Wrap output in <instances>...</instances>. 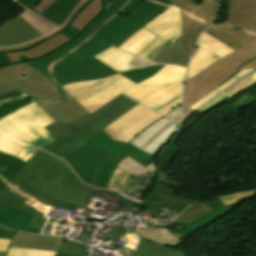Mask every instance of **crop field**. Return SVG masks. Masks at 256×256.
Here are the masks:
<instances>
[{"instance_id":"crop-field-39","label":"crop field","mask_w":256,"mask_h":256,"mask_svg":"<svg viewBox=\"0 0 256 256\" xmlns=\"http://www.w3.org/2000/svg\"><path fill=\"white\" fill-rule=\"evenodd\" d=\"M197 45L201 48H203L204 50L208 51L209 53H211L212 55H214L215 57L213 59H211L210 61H208L205 65H203L201 68H199L196 72H194L192 75H190L189 77H187V80H189L190 78H192L193 76H195L197 73H199L201 70H203L205 67H207L209 64H211L214 60H216L217 58H222L225 55H227L226 53H224L223 51H221L220 49L216 48L215 46H213L212 44L208 43L207 41H205L202 38H199Z\"/></svg>"},{"instance_id":"crop-field-21","label":"crop field","mask_w":256,"mask_h":256,"mask_svg":"<svg viewBox=\"0 0 256 256\" xmlns=\"http://www.w3.org/2000/svg\"><path fill=\"white\" fill-rule=\"evenodd\" d=\"M31 217V214H27L0 204V225L18 231L43 234L44 229H32L27 227Z\"/></svg>"},{"instance_id":"crop-field-26","label":"crop field","mask_w":256,"mask_h":256,"mask_svg":"<svg viewBox=\"0 0 256 256\" xmlns=\"http://www.w3.org/2000/svg\"><path fill=\"white\" fill-rule=\"evenodd\" d=\"M204 204H206L213 210L207 213L206 215L186 224L195 232L231 211L217 197L207 202H204Z\"/></svg>"},{"instance_id":"crop-field-7","label":"crop field","mask_w":256,"mask_h":256,"mask_svg":"<svg viewBox=\"0 0 256 256\" xmlns=\"http://www.w3.org/2000/svg\"><path fill=\"white\" fill-rule=\"evenodd\" d=\"M86 142L88 143L69 154L64 160L80 179L89 185L92 183L98 164L109 152L122 160L129 156L136 161L145 153L129 143L112 141L103 130Z\"/></svg>"},{"instance_id":"crop-field-63","label":"crop field","mask_w":256,"mask_h":256,"mask_svg":"<svg viewBox=\"0 0 256 256\" xmlns=\"http://www.w3.org/2000/svg\"><path fill=\"white\" fill-rule=\"evenodd\" d=\"M13 236H14V233L6 232V231H0V238L12 239Z\"/></svg>"},{"instance_id":"crop-field-45","label":"crop field","mask_w":256,"mask_h":256,"mask_svg":"<svg viewBox=\"0 0 256 256\" xmlns=\"http://www.w3.org/2000/svg\"><path fill=\"white\" fill-rule=\"evenodd\" d=\"M256 195V190L245 191V192H235L228 193L222 196H218V198L225 204L229 205L231 203L237 202L242 199H246L249 197H253Z\"/></svg>"},{"instance_id":"crop-field-48","label":"crop field","mask_w":256,"mask_h":256,"mask_svg":"<svg viewBox=\"0 0 256 256\" xmlns=\"http://www.w3.org/2000/svg\"><path fill=\"white\" fill-rule=\"evenodd\" d=\"M152 192H155V193H158L161 195H165V196L171 197L173 199L182 200V201L188 202L190 204L194 203L193 201H189V200H186L183 198L176 197V192L174 190H172L170 188H166V187L158 185V184L154 185Z\"/></svg>"},{"instance_id":"crop-field-61","label":"crop field","mask_w":256,"mask_h":256,"mask_svg":"<svg viewBox=\"0 0 256 256\" xmlns=\"http://www.w3.org/2000/svg\"><path fill=\"white\" fill-rule=\"evenodd\" d=\"M10 240L0 239V251H6Z\"/></svg>"},{"instance_id":"crop-field-42","label":"crop field","mask_w":256,"mask_h":256,"mask_svg":"<svg viewBox=\"0 0 256 256\" xmlns=\"http://www.w3.org/2000/svg\"><path fill=\"white\" fill-rule=\"evenodd\" d=\"M56 252L10 247L7 256H55Z\"/></svg>"},{"instance_id":"crop-field-36","label":"crop field","mask_w":256,"mask_h":256,"mask_svg":"<svg viewBox=\"0 0 256 256\" xmlns=\"http://www.w3.org/2000/svg\"><path fill=\"white\" fill-rule=\"evenodd\" d=\"M118 167L133 173L135 179L141 181L142 184H146V185L148 183L144 182L139 176L143 173L146 174L150 171H153V170L157 169L154 161L145 168L142 165H140L138 162L132 160L129 157L126 158L125 160H123L122 162H120Z\"/></svg>"},{"instance_id":"crop-field-34","label":"crop field","mask_w":256,"mask_h":256,"mask_svg":"<svg viewBox=\"0 0 256 256\" xmlns=\"http://www.w3.org/2000/svg\"><path fill=\"white\" fill-rule=\"evenodd\" d=\"M92 0H81L80 3L77 5V7L75 8L74 12L72 13V15L69 17V19L67 20V22L61 27L59 28L55 33L43 37V38H39L36 39L28 44L25 45H21V46H15V47H9V48H0V52H12V51H18V50H23V49H27V48H31L39 43H41L42 41H44L46 38L53 36L63 30H65L66 28L69 27L70 23L72 22V20L74 19V17L87 5L91 2Z\"/></svg>"},{"instance_id":"crop-field-3","label":"crop field","mask_w":256,"mask_h":256,"mask_svg":"<svg viewBox=\"0 0 256 256\" xmlns=\"http://www.w3.org/2000/svg\"><path fill=\"white\" fill-rule=\"evenodd\" d=\"M109 47L111 45L102 40L77 53L63 47L42 59L27 63L49 77L57 78L60 86L81 80L99 79L118 73L93 57ZM163 66L128 70L119 74L137 84L153 76Z\"/></svg>"},{"instance_id":"crop-field-5","label":"crop field","mask_w":256,"mask_h":256,"mask_svg":"<svg viewBox=\"0 0 256 256\" xmlns=\"http://www.w3.org/2000/svg\"><path fill=\"white\" fill-rule=\"evenodd\" d=\"M245 68H256V37L245 47L213 62L198 75L187 81L184 119L194 110L189 107L206 96L221 83Z\"/></svg>"},{"instance_id":"crop-field-58","label":"crop field","mask_w":256,"mask_h":256,"mask_svg":"<svg viewBox=\"0 0 256 256\" xmlns=\"http://www.w3.org/2000/svg\"><path fill=\"white\" fill-rule=\"evenodd\" d=\"M152 161H153L152 157L143 154V156L140 158V160L138 162L146 167Z\"/></svg>"},{"instance_id":"crop-field-64","label":"crop field","mask_w":256,"mask_h":256,"mask_svg":"<svg viewBox=\"0 0 256 256\" xmlns=\"http://www.w3.org/2000/svg\"><path fill=\"white\" fill-rule=\"evenodd\" d=\"M119 229L114 235V239H120L122 236H124L127 232L124 231L123 229H120L119 227L117 228Z\"/></svg>"},{"instance_id":"crop-field-18","label":"crop field","mask_w":256,"mask_h":256,"mask_svg":"<svg viewBox=\"0 0 256 256\" xmlns=\"http://www.w3.org/2000/svg\"><path fill=\"white\" fill-rule=\"evenodd\" d=\"M125 77L117 74L108 78L90 81H81L62 88L71 95L77 102H82L112 86Z\"/></svg>"},{"instance_id":"crop-field-17","label":"crop field","mask_w":256,"mask_h":256,"mask_svg":"<svg viewBox=\"0 0 256 256\" xmlns=\"http://www.w3.org/2000/svg\"><path fill=\"white\" fill-rule=\"evenodd\" d=\"M39 37L42 35L19 15L0 25V46L23 44Z\"/></svg>"},{"instance_id":"crop-field-59","label":"crop field","mask_w":256,"mask_h":256,"mask_svg":"<svg viewBox=\"0 0 256 256\" xmlns=\"http://www.w3.org/2000/svg\"><path fill=\"white\" fill-rule=\"evenodd\" d=\"M225 97H226V96H225ZM228 100H230V99L226 97V98H224V99L218 101L217 103L213 104L212 106L206 108L205 110L201 111L200 113L203 114V113L209 111L210 109H212V108H214V107H216V106H218V105H220V104H222V103H224V102H226V101H228Z\"/></svg>"},{"instance_id":"crop-field-4","label":"crop field","mask_w":256,"mask_h":256,"mask_svg":"<svg viewBox=\"0 0 256 256\" xmlns=\"http://www.w3.org/2000/svg\"><path fill=\"white\" fill-rule=\"evenodd\" d=\"M185 71L182 67L166 65L152 78L138 85L125 78L81 105L91 114L123 93L157 111L183 95Z\"/></svg>"},{"instance_id":"crop-field-16","label":"crop field","mask_w":256,"mask_h":256,"mask_svg":"<svg viewBox=\"0 0 256 256\" xmlns=\"http://www.w3.org/2000/svg\"><path fill=\"white\" fill-rule=\"evenodd\" d=\"M178 125L163 117L142 131L130 143L154 156L163 143L171 138Z\"/></svg>"},{"instance_id":"crop-field-19","label":"crop field","mask_w":256,"mask_h":256,"mask_svg":"<svg viewBox=\"0 0 256 256\" xmlns=\"http://www.w3.org/2000/svg\"><path fill=\"white\" fill-rule=\"evenodd\" d=\"M63 240L64 238L56 236L30 235L16 232L9 246L57 251ZM6 253L0 252V256H6Z\"/></svg>"},{"instance_id":"crop-field-41","label":"crop field","mask_w":256,"mask_h":256,"mask_svg":"<svg viewBox=\"0 0 256 256\" xmlns=\"http://www.w3.org/2000/svg\"><path fill=\"white\" fill-rule=\"evenodd\" d=\"M212 57L211 54L208 52L204 51L201 48H197L194 51L193 58L189 64L188 67V75L192 74L194 71H196L199 67H201L203 64H205L208 60H210Z\"/></svg>"},{"instance_id":"crop-field-66","label":"crop field","mask_w":256,"mask_h":256,"mask_svg":"<svg viewBox=\"0 0 256 256\" xmlns=\"http://www.w3.org/2000/svg\"><path fill=\"white\" fill-rule=\"evenodd\" d=\"M112 0H104V8H105V6L108 4V3H110Z\"/></svg>"},{"instance_id":"crop-field-68","label":"crop field","mask_w":256,"mask_h":256,"mask_svg":"<svg viewBox=\"0 0 256 256\" xmlns=\"http://www.w3.org/2000/svg\"><path fill=\"white\" fill-rule=\"evenodd\" d=\"M196 1V3L198 4L201 0H195ZM216 1V0H215Z\"/></svg>"},{"instance_id":"crop-field-31","label":"crop field","mask_w":256,"mask_h":256,"mask_svg":"<svg viewBox=\"0 0 256 256\" xmlns=\"http://www.w3.org/2000/svg\"><path fill=\"white\" fill-rule=\"evenodd\" d=\"M138 235L158 244L169 245L175 248L180 244V241L169 233L166 228L139 229Z\"/></svg>"},{"instance_id":"crop-field-43","label":"crop field","mask_w":256,"mask_h":256,"mask_svg":"<svg viewBox=\"0 0 256 256\" xmlns=\"http://www.w3.org/2000/svg\"><path fill=\"white\" fill-rule=\"evenodd\" d=\"M0 203L4 204L6 206L24 211V212H28L31 214H37L36 212L32 211L30 208H28L26 205H24L19 200L1 192V191H0ZM37 215H39V214H37Z\"/></svg>"},{"instance_id":"crop-field-37","label":"crop field","mask_w":256,"mask_h":256,"mask_svg":"<svg viewBox=\"0 0 256 256\" xmlns=\"http://www.w3.org/2000/svg\"><path fill=\"white\" fill-rule=\"evenodd\" d=\"M210 210H212V209H210L203 203H196V204H193L192 206H190L189 208H187L178 217V220L186 224V223L198 218L199 216L209 212Z\"/></svg>"},{"instance_id":"crop-field-55","label":"crop field","mask_w":256,"mask_h":256,"mask_svg":"<svg viewBox=\"0 0 256 256\" xmlns=\"http://www.w3.org/2000/svg\"><path fill=\"white\" fill-rule=\"evenodd\" d=\"M181 111H182V105L177 107L174 111L167 114L166 116H168V117H170V118H172V119H174V120H176L177 122L180 123V121H181Z\"/></svg>"},{"instance_id":"crop-field-32","label":"crop field","mask_w":256,"mask_h":256,"mask_svg":"<svg viewBox=\"0 0 256 256\" xmlns=\"http://www.w3.org/2000/svg\"><path fill=\"white\" fill-rule=\"evenodd\" d=\"M13 1L15 2L16 0ZM20 6L25 9L24 12L19 14L21 18L27 21L36 31H38L43 36L58 29L59 26L55 25L51 21L35 14L34 12L30 11L29 9L22 5Z\"/></svg>"},{"instance_id":"crop-field-6","label":"crop field","mask_w":256,"mask_h":256,"mask_svg":"<svg viewBox=\"0 0 256 256\" xmlns=\"http://www.w3.org/2000/svg\"><path fill=\"white\" fill-rule=\"evenodd\" d=\"M24 168L29 174L24 178L37 190L81 207L88 191L72 188L60 182L72 171L63 160L40 150L26 162Z\"/></svg>"},{"instance_id":"crop-field-30","label":"crop field","mask_w":256,"mask_h":256,"mask_svg":"<svg viewBox=\"0 0 256 256\" xmlns=\"http://www.w3.org/2000/svg\"><path fill=\"white\" fill-rule=\"evenodd\" d=\"M156 37L150 31L141 28L135 34L131 35L119 48L138 54Z\"/></svg>"},{"instance_id":"crop-field-50","label":"crop field","mask_w":256,"mask_h":256,"mask_svg":"<svg viewBox=\"0 0 256 256\" xmlns=\"http://www.w3.org/2000/svg\"><path fill=\"white\" fill-rule=\"evenodd\" d=\"M202 38H204L205 40H207L208 42L212 43L213 45L217 46L218 48H220L221 50L225 51L226 53H231L234 50L228 48L227 46H225L224 44L220 43L219 41H217L216 39H214L213 37L209 36L206 33H202L201 36Z\"/></svg>"},{"instance_id":"crop-field-57","label":"crop field","mask_w":256,"mask_h":256,"mask_svg":"<svg viewBox=\"0 0 256 256\" xmlns=\"http://www.w3.org/2000/svg\"><path fill=\"white\" fill-rule=\"evenodd\" d=\"M53 1L54 0H41L34 9L42 13Z\"/></svg>"},{"instance_id":"crop-field-49","label":"crop field","mask_w":256,"mask_h":256,"mask_svg":"<svg viewBox=\"0 0 256 256\" xmlns=\"http://www.w3.org/2000/svg\"><path fill=\"white\" fill-rule=\"evenodd\" d=\"M99 190H100V189L95 188L93 193L100 194V195H104V196H106L105 199L116 202L113 208L106 207V206H103L102 208H104V209H106V210H109V211H111L112 209L122 208L123 205L117 203L118 198H119L118 196L100 193ZM90 201H91V200H90ZM89 203H90V202H89ZM88 205H89V204L84 203L83 208H87ZM87 209H90V208H87Z\"/></svg>"},{"instance_id":"crop-field-28","label":"crop field","mask_w":256,"mask_h":256,"mask_svg":"<svg viewBox=\"0 0 256 256\" xmlns=\"http://www.w3.org/2000/svg\"><path fill=\"white\" fill-rule=\"evenodd\" d=\"M25 165V162L17 157L0 152V189L4 187L10 179Z\"/></svg>"},{"instance_id":"crop-field-46","label":"crop field","mask_w":256,"mask_h":256,"mask_svg":"<svg viewBox=\"0 0 256 256\" xmlns=\"http://www.w3.org/2000/svg\"><path fill=\"white\" fill-rule=\"evenodd\" d=\"M62 182L67 183V184H69V185H71V186H73V187H76V188L89 190V192H88V194H87V197H86V199H85V201H84V202H87V203L89 202V199H90V197H91V194H92V191H93L94 188L89 187V186L83 184V183L77 178V176H76L73 172L70 173L66 178H64V179L62 180Z\"/></svg>"},{"instance_id":"crop-field-44","label":"crop field","mask_w":256,"mask_h":256,"mask_svg":"<svg viewBox=\"0 0 256 256\" xmlns=\"http://www.w3.org/2000/svg\"><path fill=\"white\" fill-rule=\"evenodd\" d=\"M254 70V69H249V70H241L238 73H236L234 76H232L230 79H228L226 82H224L222 85H220L218 88H216L214 91H212L210 94H208L206 97H204L203 99H201L199 102H197L196 104H194L192 107V109H196L198 106H200L203 102H205L206 100H208L209 98H211L212 96H214L216 93H218L219 91H221L222 89L226 88L227 86H229L230 84H232L234 81H236L238 78H240L242 75L246 74L247 72Z\"/></svg>"},{"instance_id":"crop-field-9","label":"crop field","mask_w":256,"mask_h":256,"mask_svg":"<svg viewBox=\"0 0 256 256\" xmlns=\"http://www.w3.org/2000/svg\"><path fill=\"white\" fill-rule=\"evenodd\" d=\"M54 120L36 103H30L0 120V127L20 139L43 147L54 141L43 127Z\"/></svg>"},{"instance_id":"crop-field-56","label":"crop field","mask_w":256,"mask_h":256,"mask_svg":"<svg viewBox=\"0 0 256 256\" xmlns=\"http://www.w3.org/2000/svg\"><path fill=\"white\" fill-rule=\"evenodd\" d=\"M156 183L161 184V185H164V186H166V187H170V188H172V189H177V190H179V189L181 188V186H182V184L177 183V182H173V181H167V182H165V181L157 180Z\"/></svg>"},{"instance_id":"crop-field-27","label":"crop field","mask_w":256,"mask_h":256,"mask_svg":"<svg viewBox=\"0 0 256 256\" xmlns=\"http://www.w3.org/2000/svg\"><path fill=\"white\" fill-rule=\"evenodd\" d=\"M132 256H187V254L172 247L157 245L148 240L141 239Z\"/></svg>"},{"instance_id":"crop-field-40","label":"crop field","mask_w":256,"mask_h":256,"mask_svg":"<svg viewBox=\"0 0 256 256\" xmlns=\"http://www.w3.org/2000/svg\"><path fill=\"white\" fill-rule=\"evenodd\" d=\"M130 174L131 173L117 167L107 189L121 192Z\"/></svg>"},{"instance_id":"crop-field-10","label":"crop field","mask_w":256,"mask_h":256,"mask_svg":"<svg viewBox=\"0 0 256 256\" xmlns=\"http://www.w3.org/2000/svg\"><path fill=\"white\" fill-rule=\"evenodd\" d=\"M103 12V0H93L73 20L64 32L46 39L38 46L19 52L6 53L11 63L42 58L75 40Z\"/></svg>"},{"instance_id":"crop-field-24","label":"crop field","mask_w":256,"mask_h":256,"mask_svg":"<svg viewBox=\"0 0 256 256\" xmlns=\"http://www.w3.org/2000/svg\"><path fill=\"white\" fill-rule=\"evenodd\" d=\"M188 55L185 53L181 37L172 45L168 44L154 59V62L185 66L188 63Z\"/></svg>"},{"instance_id":"crop-field-1","label":"crop field","mask_w":256,"mask_h":256,"mask_svg":"<svg viewBox=\"0 0 256 256\" xmlns=\"http://www.w3.org/2000/svg\"><path fill=\"white\" fill-rule=\"evenodd\" d=\"M172 0H114L67 49L78 51L102 39L119 47L131 34L167 10Z\"/></svg>"},{"instance_id":"crop-field-14","label":"crop field","mask_w":256,"mask_h":256,"mask_svg":"<svg viewBox=\"0 0 256 256\" xmlns=\"http://www.w3.org/2000/svg\"><path fill=\"white\" fill-rule=\"evenodd\" d=\"M180 14L174 5L156 17L144 28L158 37L151 42L139 55L153 61L156 55L169 43H175L181 36ZM138 55V56H139Z\"/></svg>"},{"instance_id":"crop-field-38","label":"crop field","mask_w":256,"mask_h":256,"mask_svg":"<svg viewBox=\"0 0 256 256\" xmlns=\"http://www.w3.org/2000/svg\"><path fill=\"white\" fill-rule=\"evenodd\" d=\"M255 84H256V71L246 76L245 78L240 80L238 83H236L235 85H233L223 93L231 98Z\"/></svg>"},{"instance_id":"crop-field-29","label":"crop field","mask_w":256,"mask_h":256,"mask_svg":"<svg viewBox=\"0 0 256 256\" xmlns=\"http://www.w3.org/2000/svg\"><path fill=\"white\" fill-rule=\"evenodd\" d=\"M121 160L112 154H108L101 161L98 170L96 172L95 178L93 180V186L107 188L109 179Z\"/></svg>"},{"instance_id":"crop-field-2","label":"crop field","mask_w":256,"mask_h":256,"mask_svg":"<svg viewBox=\"0 0 256 256\" xmlns=\"http://www.w3.org/2000/svg\"><path fill=\"white\" fill-rule=\"evenodd\" d=\"M16 90L36 101L55 121L71 124L89 114L58 84L26 62L0 68V95Z\"/></svg>"},{"instance_id":"crop-field-12","label":"crop field","mask_w":256,"mask_h":256,"mask_svg":"<svg viewBox=\"0 0 256 256\" xmlns=\"http://www.w3.org/2000/svg\"><path fill=\"white\" fill-rule=\"evenodd\" d=\"M182 16V35L186 51L191 55L199 33L212 24L216 18L215 2L202 0L198 5L194 0H173Z\"/></svg>"},{"instance_id":"crop-field-22","label":"crop field","mask_w":256,"mask_h":256,"mask_svg":"<svg viewBox=\"0 0 256 256\" xmlns=\"http://www.w3.org/2000/svg\"><path fill=\"white\" fill-rule=\"evenodd\" d=\"M48 132L55 138V142L43 147L42 149L52 153L62 146L80 138L71 125H64L54 122L46 127Z\"/></svg>"},{"instance_id":"crop-field-67","label":"crop field","mask_w":256,"mask_h":256,"mask_svg":"<svg viewBox=\"0 0 256 256\" xmlns=\"http://www.w3.org/2000/svg\"><path fill=\"white\" fill-rule=\"evenodd\" d=\"M0 230H5V229H3V228L0 227ZM7 231H10V230H7ZM11 232H14V233H15V231H11Z\"/></svg>"},{"instance_id":"crop-field-51","label":"crop field","mask_w":256,"mask_h":256,"mask_svg":"<svg viewBox=\"0 0 256 256\" xmlns=\"http://www.w3.org/2000/svg\"><path fill=\"white\" fill-rule=\"evenodd\" d=\"M48 220H49V218L34 215L28 227L45 228Z\"/></svg>"},{"instance_id":"crop-field-62","label":"crop field","mask_w":256,"mask_h":256,"mask_svg":"<svg viewBox=\"0 0 256 256\" xmlns=\"http://www.w3.org/2000/svg\"><path fill=\"white\" fill-rule=\"evenodd\" d=\"M225 96L224 95H219L217 98H215L214 100H212V101H210L209 103H207L206 105H204L203 107H201L199 110H197V111H201V110H203V109H205L206 107H208V106H210V105H212L213 103H215V102H217L218 100H220V99H222V98H224Z\"/></svg>"},{"instance_id":"crop-field-15","label":"crop field","mask_w":256,"mask_h":256,"mask_svg":"<svg viewBox=\"0 0 256 256\" xmlns=\"http://www.w3.org/2000/svg\"><path fill=\"white\" fill-rule=\"evenodd\" d=\"M161 117L163 116L157 112L139 104L103 130L112 140L130 142L142 130Z\"/></svg>"},{"instance_id":"crop-field-53","label":"crop field","mask_w":256,"mask_h":256,"mask_svg":"<svg viewBox=\"0 0 256 256\" xmlns=\"http://www.w3.org/2000/svg\"><path fill=\"white\" fill-rule=\"evenodd\" d=\"M129 64H131L132 66H134L136 68L158 65V64H153V63H151L145 59H142L140 57H137V56L131 62H129Z\"/></svg>"},{"instance_id":"crop-field-23","label":"crop field","mask_w":256,"mask_h":256,"mask_svg":"<svg viewBox=\"0 0 256 256\" xmlns=\"http://www.w3.org/2000/svg\"><path fill=\"white\" fill-rule=\"evenodd\" d=\"M142 205L150 207L147 211L148 213L157 215L162 208L172 210L180 214L190 204L150 192L142 202Z\"/></svg>"},{"instance_id":"crop-field-8","label":"crop field","mask_w":256,"mask_h":256,"mask_svg":"<svg viewBox=\"0 0 256 256\" xmlns=\"http://www.w3.org/2000/svg\"><path fill=\"white\" fill-rule=\"evenodd\" d=\"M204 32L234 50L245 46L256 33V0H229L228 19Z\"/></svg>"},{"instance_id":"crop-field-54","label":"crop field","mask_w":256,"mask_h":256,"mask_svg":"<svg viewBox=\"0 0 256 256\" xmlns=\"http://www.w3.org/2000/svg\"><path fill=\"white\" fill-rule=\"evenodd\" d=\"M180 104H182V96L180 98H178L177 100H175L174 102L170 103L169 105L165 106L158 112L165 115V114L171 112L172 110H174Z\"/></svg>"},{"instance_id":"crop-field-33","label":"crop field","mask_w":256,"mask_h":256,"mask_svg":"<svg viewBox=\"0 0 256 256\" xmlns=\"http://www.w3.org/2000/svg\"><path fill=\"white\" fill-rule=\"evenodd\" d=\"M30 102L32 101L16 91L0 96V118Z\"/></svg>"},{"instance_id":"crop-field-13","label":"crop field","mask_w":256,"mask_h":256,"mask_svg":"<svg viewBox=\"0 0 256 256\" xmlns=\"http://www.w3.org/2000/svg\"><path fill=\"white\" fill-rule=\"evenodd\" d=\"M28 175L24 168L18 172L12 180L1 189L26 204L42 216L48 217L56 207L65 209L79 208L50 198L33 188L23 177Z\"/></svg>"},{"instance_id":"crop-field-35","label":"crop field","mask_w":256,"mask_h":256,"mask_svg":"<svg viewBox=\"0 0 256 256\" xmlns=\"http://www.w3.org/2000/svg\"><path fill=\"white\" fill-rule=\"evenodd\" d=\"M27 143L0 129V151L16 156Z\"/></svg>"},{"instance_id":"crop-field-47","label":"crop field","mask_w":256,"mask_h":256,"mask_svg":"<svg viewBox=\"0 0 256 256\" xmlns=\"http://www.w3.org/2000/svg\"><path fill=\"white\" fill-rule=\"evenodd\" d=\"M89 252L82 251L74 246L62 243L56 256H88Z\"/></svg>"},{"instance_id":"crop-field-11","label":"crop field","mask_w":256,"mask_h":256,"mask_svg":"<svg viewBox=\"0 0 256 256\" xmlns=\"http://www.w3.org/2000/svg\"><path fill=\"white\" fill-rule=\"evenodd\" d=\"M137 104L122 95L118 96L93 114H89L71 124L81 138L57 150L53 154L63 159L73 150L83 146L85 144L83 142L84 140L92 137Z\"/></svg>"},{"instance_id":"crop-field-25","label":"crop field","mask_w":256,"mask_h":256,"mask_svg":"<svg viewBox=\"0 0 256 256\" xmlns=\"http://www.w3.org/2000/svg\"><path fill=\"white\" fill-rule=\"evenodd\" d=\"M95 57L118 72L134 68L127 63L131 61L135 57V55L123 52L114 47L105 50L104 52L98 54Z\"/></svg>"},{"instance_id":"crop-field-60","label":"crop field","mask_w":256,"mask_h":256,"mask_svg":"<svg viewBox=\"0 0 256 256\" xmlns=\"http://www.w3.org/2000/svg\"><path fill=\"white\" fill-rule=\"evenodd\" d=\"M9 64H10V62H9L7 56L5 55V53H0V67L9 65Z\"/></svg>"},{"instance_id":"crop-field-20","label":"crop field","mask_w":256,"mask_h":256,"mask_svg":"<svg viewBox=\"0 0 256 256\" xmlns=\"http://www.w3.org/2000/svg\"><path fill=\"white\" fill-rule=\"evenodd\" d=\"M40 0H17V2L32 10ZM79 0H55L42 14L57 25H62Z\"/></svg>"},{"instance_id":"crop-field-65","label":"crop field","mask_w":256,"mask_h":256,"mask_svg":"<svg viewBox=\"0 0 256 256\" xmlns=\"http://www.w3.org/2000/svg\"><path fill=\"white\" fill-rule=\"evenodd\" d=\"M107 249H109V248H107ZM110 250H113V249H110ZM118 250L121 251V252H124V253L128 254L127 256H129V255L134 251V250L124 249V248H121V247H119ZM114 251H115V250H114ZM117 256H118V255H117Z\"/></svg>"},{"instance_id":"crop-field-52","label":"crop field","mask_w":256,"mask_h":256,"mask_svg":"<svg viewBox=\"0 0 256 256\" xmlns=\"http://www.w3.org/2000/svg\"><path fill=\"white\" fill-rule=\"evenodd\" d=\"M39 149L29 146L24 151H22L17 157L23 161H27L31 156H33Z\"/></svg>"}]
</instances>
